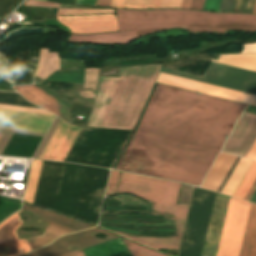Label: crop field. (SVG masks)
Returning <instances> with one entry per match:
<instances>
[{"label": "crop field", "mask_w": 256, "mask_h": 256, "mask_svg": "<svg viewBox=\"0 0 256 256\" xmlns=\"http://www.w3.org/2000/svg\"><path fill=\"white\" fill-rule=\"evenodd\" d=\"M111 0H97L96 6H109Z\"/></svg>", "instance_id": "73cf0c24"}, {"label": "crop field", "mask_w": 256, "mask_h": 256, "mask_svg": "<svg viewBox=\"0 0 256 256\" xmlns=\"http://www.w3.org/2000/svg\"><path fill=\"white\" fill-rule=\"evenodd\" d=\"M250 163V160L240 158L238 164L236 165L234 171L232 172L230 178L224 186L222 193L232 195L233 191L235 190L236 186L238 185Z\"/></svg>", "instance_id": "a9b5d70f"}, {"label": "crop field", "mask_w": 256, "mask_h": 256, "mask_svg": "<svg viewBox=\"0 0 256 256\" xmlns=\"http://www.w3.org/2000/svg\"><path fill=\"white\" fill-rule=\"evenodd\" d=\"M236 157L220 153L201 187L218 191Z\"/></svg>", "instance_id": "733c2abd"}, {"label": "crop field", "mask_w": 256, "mask_h": 256, "mask_svg": "<svg viewBox=\"0 0 256 256\" xmlns=\"http://www.w3.org/2000/svg\"><path fill=\"white\" fill-rule=\"evenodd\" d=\"M136 36L133 31L123 33H111L101 35H74L69 38L73 43H117L126 44L136 40Z\"/></svg>", "instance_id": "bc2a9ffb"}, {"label": "crop field", "mask_w": 256, "mask_h": 256, "mask_svg": "<svg viewBox=\"0 0 256 256\" xmlns=\"http://www.w3.org/2000/svg\"><path fill=\"white\" fill-rule=\"evenodd\" d=\"M192 0H183L181 9H189Z\"/></svg>", "instance_id": "89e229c0"}, {"label": "crop field", "mask_w": 256, "mask_h": 256, "mask_svg": "<svg viewBox=\"0 0 256 256\" xmlns=\"http://www.w3.org/2000/svg\"><path fill=\"white\" fill-rule=\"evenodd\" d=\"M67 10V13H65ZM113 9L108 10H84V9H59L57 15H81V14H98V13H113Z\"/></svg>", "instance_id": "d32e631a"}, {"label": "crop field", "mask_w": 256, "mask_h": 256, "mask_svg": "<svg viewBox=\"0 0 256 256\" xmlns=\"http://www.w3.org/2000/svg\"><path fill=\"white\" fill-rule=\"evenodd\" d=\"M75 4L95 6L96 0H76Z\"/></svg>", "instance_id": "5d738f31"}, {"label": "crop field", "mask_w": 256, "mask_h": 256, "mask_svg": "<svg viewBox=\"0 0 256 256\" xmlns=\"http://www.w3.org/2000/svg\"><path fill=\"white\" fill-rule=\"evenodd\" d=\"M182 0H161L159 8H180Z\"/></svg>", "instance_id": "0bd39190"}, {"label": "crop field", "mask_w": 256, "mask_h": 256, "mask_svg": "<svg viewBox=\"0 0 256 256\" xmlns=\"http://www.w3.org/2000/svg\"><path fill=\"white\" fill-rule=\"evenodd\" d=\"M246 106L158 84L115 169L200 186Z\"/></svg>", "instance_id": "8a807250"}, {"label": "crop field", "mask_w": 256, "mask_h": 256, "mask_svg": "<svg viewBox=\"0 0 256 256\" xmlns=\"http://www.w3.org/2000/svg\"><path fill=\"white\" fill-rule=\"evenodd\" d=\"M64 164L43 161L34 204L53 210Z\"/></svg>", "instance_id": "5a996713"}, {"label": "crop field", "mask_w": 256, "mask_h": 256, "mask_svg": "<svg viewBox=\"0 0 256 256\" xmlns=\"http://www.w3.org/2000/svg\"><path fill=\"white\" fill-rule=\"evenodd\" d=\"M251 105H255V106H256V97H255V99L252 101Z\"/></svg>", "instance_id": "0fb4a251"}, {"label": "crop field", "mask_w": 256, "mask_h": 256, "mask_svg": "<svg viewBox=\"0 0 256 256\" xmlns=\"http://www.w3.org/2000/svg\"><path fill=\"white\" fill-rule=\"evenodd\" d=\"M247 158H248V159H252V160H256V142H255V144L253 145L251 151L249 152Z\"/></svg>", "instance_id": "d23c7cc5"}, {"label": "crop field", "mask_w": 256, "mask_h": 256, "mask_svg": "<svg viewBox=\"0 0 256 256\" xmlns=\"http://www.w3.org/2000/svg\"><path fill=\"white\" fill-rule=\"evenodd\" d=\"M44 1H46V0H44Z\"/></svg>", "instance_id": "447ae74e"}, {"label": "crop field", "mask_w": 256, "mask_h": 256, "mask_svg": "<svg viewBox=\"0 0 256 256\" xmlns=\"http://www.w3.org/2000/svg\"><path fill=\"white\" fill-rule=\"evenodd\" d=\"M151 0H127L125 8H149Z\"/></svg>", "instance_id": "028f5c9d"}, {"label": "crop field", "mask_w": 256, "mask_h": 256, "mask_svg": "<svg viewBox=\"0 0 256 256\" xmlns=\"http://www.w3.org/2000/svg\"><path fill=\"white\" fill-rule=\"evenodd\" d=\"M0 89L14 91L12 87L0 80Z\"/></svg>", "instance_id": "25e5ab78"}, {"label": "crop field", "mask_w": 256, "mask_h": 256, "mask_svg": "<svg viewBox=\"0 0 256 256\" xmlns=\"http://www.w3.org/2000/svg\"><path fill=\"white\" fill-rule=\"evenodd\" d=\"M250 205L231 197L217 256H238Z\"/></svg>", "instance_id": "f4fd0767"}, {"label": "crop field", "mask_w": 256, "mask_h": 256, "mask_svg": "<svg viewBox=\"0 0 256 256\" xmlns=\"http://www.w3.org/2000/svg\"><path fill=\"white\" fill-rule=\"evenodd\" d=\"M159 3H160V0H152L150 8H158L159 7Z\"/></svg>", "instance_id": "1f2cbd36"}, {"label": "crop field", "mask_w": 256, "mask_h": 256, "mask_svg": "<svg viewBox=\"0 0 256 256\" xmlns=\"http://www.w3.org/2000/svg\"><path fill=\"white\" fill-rule=\"evenodd\" d=\"M255 0H234L231 12L252 13Z\"/></svg>", "instance_id": "120bbe31"}, {"label": "crop field", "mask_w": 256, "mask_h": 256, "mask_svg": "<svg viewBox=\"0 0 256 256\" xmlns=\"http://www.w3.org/2000/svg\"><path fill=\"white\" fill-rule=\"evenodd\" d=\"M239 256H256V205L252 203Z\"/></svg>", "instance_id": "92a150f3"}, {"label": "crop field", "mask_w": 256, "mask_h": 256, "mask_svg": "<svg viewBox=\"0 0 256 256\" xmlns=\"http://www.w3.org/2000/svg\"><path fill=\"white\" fill-rule=\"evenodd\" d=\"M18 92H20L28 100L54 112L61 118L68 120V109L69 107L65 106L58 100L54 99L35 85H26L14 87ZM53 113V114H54Z\"/></svg>", "instance_id": "d9b57169"}, {"label": "crop field", "mask_w": 256, "mask_h": 256, "mask_svg": "<svg viewBox=\"0 0 256 256\" xmlns=\"http://www.w3.org/2000/svg\"><path fill=\"white\" fill-rule=\"evenodd\" d=\"M246 113H243L223 152L246 158L256 140V116Z\"/></svg>", "instance_id": "d1516ede"}, {"label": "crop field", "mask_w": 256, "mask_h": 256, "mask_svg": "<svg viewBox=\"0 0 256 256\" xmlns=\"http://www.w3.org/2000/svg\"><path fill=\"white\" fill-rule=\"evenodd\" d=\"M125 3H126V0H112L110 6L114 8H124Z\"/></svg>", "instance_id": "b54c1fbb"}, {"label": "crop field", "mask_w": 256, "mask_h": 256, "mask_svg": "<svg viewBox=\"0 0 256 256\" xmlns=\"http://www.w3.org/2000/svg\"><path fill=\"white\" fill-rule=\"evenodd\" d=\"M22 210L34 213L41 219L39 220L40 222L49 224L43 235L29 238V243L33 250L52 242L55 238L61 235L93 227L90 224L71 219L25 203Z\"/></svg>", "instance_id": "dd49c442"}, {"label": "crop field", "mask_w": 256, "mask_h": 256, "mask_svg": "<svg viewBox=\"0 0 256 256\" xmlns=\"http://www.w3.org/2000/svg\"><path fill=\"white\" fill-rule=\"evenodd\" d=\"M42 161L33 160L24 200L32 203Z\"/></svg>", "instance_id": "730fd06b"}, {"label": "crop field", "mask_w": 256, "mask_h": 256, "mask_svg": "<svg viewBox=\"0 0 256 256\" xmlns=\"http://www.w3.org/2000/svg\"><path fill=\"white\" fill-rule=\"evenodd\" d=\"M253 14H256V5H255V9H254V13Z\"/></svg>", "instance_id": "1d79db26"}, {"label": "crop field", "mask_w": 256, "mask_h": 256, "mask_svg": "<svg viewBox=\"0 0 256 256\" xmlns=\"http://www.w3.org/2000/svg\"><path fill=\"white\" fill-rule=\"evenodd\" d=\"M179 186H180L179 183L167 181L162 205L149 202L151 206V214H156V215L163 214V216L166 219L174 220L178 237H170V238L141 237V236H134V235L118 232V231H113V230L111 231L116 232L125 237H128L130 239H133L142 244H145L156 250H159V249H177L178 250L188 207H189V205H175Z\"/></svg>", "instance_id": "412701ff"}, {"label": "crop field", "mask_w": 256, "mask_h": 256, "mask_svg": "<svg viewBox=\"0 0 256 256\" xmlns=\"http://www.w3.org/2000/svg\"><path fill=\"white\" fill-rule=\"evenodd\" d=\"M231 66H236L252 71H256V54L251 55H221L218 61Z\"/></svg>", "instance_id": "00972430"}, {"label": "crop field", "mask_w": 256, "mask_h": 256, "mask_svg": "<svg viewBox=\"0 0 256 256\" xmlns=\"http://www.w3.org/2000/svg\"><path fill=\"white\" fill-rule=\"evenodd\" d=\"M106 211L121 212V211H147L146 206H120V203L107 201Z\"/></svg>", "instance_id": "1d83c4d3"}, {"label": "crop field", "mask_w": 256, "mask_h": 256, "mask_svg": "<svg viewBox=\"0 0 256 256\" xmlns=\"http://www.w3.org/2000/svg\"><path fill=\"white\" fill-rule=\"evenodd\" d=\"M256 190V180L253 183L252 187L250 188L248 194L245 197V200L249 201V199L251 198L252 194L254 193V191Z\"/></svg>", "instance_id": "425ffa30"}, {"label": "crop field", "mask_w": 256, "mask_h": 256, "mask_svg": "<svg viewBox=\"0 0 256 256\" xmlns=\"http://www.w3.org/2000/svg\"><path fill=\"white\" fill-rule=\"evenodd\" d=\"M205 0H193L190 9L202 10Z\"/></svg>", "instance_id": "c21b1889"}, {"label": "crop field", "mask_w": 256, "mask_h": 256, "mask_svg": "<svg viewBox=\"0 0 256 256\" xmlns=\"http://www.w3.org/2000/svg\"><path fill=\"white\" fill-rule=\"evenodd\" d=\"M118 217H149L155 218L151 215H118ZM100 221H136L132 219H100ZM165 220H149V219H137V222H155V223H164ZM101 225H106L102 224ZM137 224H145V225H154V223H137ZM111 226V225H106ZM116 227V226H111ZM137 230H152V228H175L174 226H165V227H148V226H135ZM119 228V227H116ZM123 229V228H121ZM132 230V229H131Z\"/></svg>", "instance_id": "eef30255"}, {"label": "crop field", "mask_w": 256, "mask_h": 256, "mask_svg": "<svg viewBox=\"0 0 256 256\" xmlns=\"http://www.w3.org/2000/svg\"><path fill=\"white\" fill-rule=\"evenodd\" d=\"M162 64L120 69V78L99 77L87 127L132 130Z\"/></svg>", "instance_id": "ac0d7876"}, {"label": "crop field", "mask_w": 256, "mask_h": 256, "mask_svg": "<svg viewBox=\"0 0 256 256\" xmlns=\"http://www.w3.org/2000/svg\"><path fill=\"white\" fill-rule=\"evenodd\" d=\"M21 203L5 200L0 198V222L12 214L14 211L20 209Z\"/></svg>", "instance_id": "750c4746"}, {"label": "crop field", "mask_w": 256, "mask_h": 256, "mask_svg": "<svg viewBox=\"0 0 256 256\" xmlns=\"http://www.w3.org/2000/svg\"><path fill=\"white\" fill-rule=\"evenodd\" d=\"M165 180L148 178L122 172L118 192L139 195L149 201L162 202Z\"/></svg>", "instance_id": "3316defc"}, {"label": "crop field", "mask_w": 256, "mask_h": 256, "mask_svg": "<svg viewBox=\"0 0 256 256\" xmlns=\"http://www.w3.org/2000/svg\"><path fill=\"white\" fill-rule=\"evenodd\" d=\"M85 256H131L121 238L84 249ZM78 251L66 256H84Z\"/></svg>", "instance_id": "214f88e0"}, {"label": "crop field", "mask_w": 256, "mask_h": 256, "mask_svg": "<svg viewBox=\"0 0 256 256\" xmlns=\"http://www.w3.org/2000/svg\"><path fill=\"white\" fill-rule=\"evenodd\" d=\"M80 130L81 127L69 125L62 120L41 159L63 161Z\"/></svg>", "instance_id": "5142ce71"}, {"label": "crop field", "mask_w": 256, "mask_h": 256, "mask_svg": "<svg viewBox=\"0 0 256 256\" xmlns=\"http://www.w3.org/2000/svg\"><path fill=\"white\" fill-rule=\"evenodd\" d=\"M59 22L67 26L71 32L96 33L118 31L115 14L56 17Z\"/></svg>", "instance_id": "22f410ed"}, {"label": "crop field", "mask_w": 256, "mask_h": 256, "mask_svg": "<svg viewBox=\"0 0 256 256\" xmlns=\"http://www.w3.org/2000/svg\"><path fill=\"white\" fill-rule=\"evenodd\" d=\"M245 111L256 114V107L249 105L248 108Z\"/></svg>", "instance_id": "dbb93151"}, {"label": "crop field", "mask_w": 256, "mask_h": 256, "mask_svg": "<svg viewBox=\"0 0 256 256\" xmlns=\"http://www.w3.org/2000/svg\"><path fill=\"white\" fill-rule=\"evenodd\" d=\"M0 109H8V110H17V111H25V112H34V113H43V114H49L43 110L38 109H30V108H22V107H14V106H6V105H0ZM52 114V113H51ZM54 115V114H53Z\"/></svg>", "instance_id": "e1f06a70"}, {"label": "crop field", "mask_w": 256, "mask_h": 256, "mask_svg": "<svg viewBox=\"0 0 256 256\" xmlns=\"http://www.w3.org/2000/svg\"><path fill=\"white\" fill-rule=\"evenodd\" d=\"M41 138L38 136L13 134L2 155L31 158Z\"/></svg>", "instance_id": "4a817a6b"}, {"label": "crop field", "mask_w": 256, "mask_h": 256, "mask_svg": "<svg viewBox=\"0 0 256 256\" xmlns=\"http://www.w3.org/2000/svg\"><path fill=\"white\" fill-rule=\"evenodd\" d=\"M118 174H119L118 171L111 170L105 196L109 195V194H114L115 188H116Z\"/></svg>", "instance_id": "5866460e"}, {"label": "crop field", "mask_w": 256, "mask_h": 256, "mask_svg": "<svg viewBox=\"0 0 256 256\" xmlns=\"http://www.w3.org/2000/svg\"><path fill=\"white\" fill-rule=\"evenodd\" d=\"M25 5H33V6H47V7H57L59 8L60 4L50 3V2H43L37 0H27Z\"/></svg>", "instance_id": "c035e120"}, {"label": "crop field", "mask_w": 256, "mask_h": 256, "mask_svg": "<svg viewBox=\"0 0 256 256\" xmlns=\"http://www.w3.org/2000/svg\"><path fill=\"white\" fill-rule=\"evenodd\" d=\"M50 49L42 48L39 68L36 76L45 79L52 72L60 69L59 54L51 52Z\"/></svg>", "instance_id": "dafd665d"}, {"label": "crop field", "mask_w": 256, "mask_h": 256, "mask_svg": "<svg viewBox=\"0 0 256 256\" xmlns=\"http://www.w3.org/2000/svg\"><path fill=\"white\" fill-rule=\"evenodd\" d=\"M156 82L249 104L253 95L160 73Z\"/></svg>", "instance_id": "28ad6ade"}, {"label": "crop field", "mask_w": 256, "mask_h": 256, "mask_svg": "<svg viewBox=\"0 0 256 256\" xmlns=\"http://www.w3.org/2000/svg\"><path fill=\"white\" fill-rule=\"evenodd\" d=\"M86 168L83 165L65 164L55 211L75 217Z\"/></svg>", "instance_id": "d8731c3e"}, {"label": "crop field", "mask_w": 256, "mask_h": 256, "mask_svg": "<svg viewBox=\"0 0 256 256\" xmlns=\"http://www.w3.org/2000/svg\"><path fill=\"white\" fill-rule=\"evenodd\" d=\"M132 256H166L122 239Z\"/></svg>", "instance_id": "d3111659"}, {"label": "crop field", "mask_w": 256, "mask_h": 256, "mask_svg": "<svg viewBox=\"0 0 256 256\" xmlns=\"http://www.w3.org/2000/svg\"><path fill=\"white\" fill-rule=\"evenodd\" d=\"M256 52V43L244 44V50L240 53Z\"/></svg>", "instance_id": "03da06ac"}, {"label": "crop field", "mask_w": 256, "mask_h": 256, "mask_svg": "<svg viewBox=\"0 0 256 256\" xmlns=\"http://www.w3.org/2000/svg\"><path fill=\"white\" fill-rule=\"evenodd\" d=\"M219 4L220 0H206L203 10L217 12Z\"/></svg>", "instance_id": "b80d0937"}, {"label": "crop field", "mask_w": 256, "mask_h": 256, "mask_svg": "<svg viewBox=\"0 0 256 256\" xmlns=\"http://www.w3.org/2000/svg\"><path fill=\"white\" fill-rule=\"evenodd\" d=\"M3 133H0V138L2 137Z\"/></svg>", "instance_id": "9d1cf04e"}, {"label": "crop field", "mask_w": 256, "mask_h": 256, "mask_svg": "<svg viewBox=\"0 0 256 256\" xmlns=\"http://www.w3.org/2000/svg\"><path fill=\"white\" fill-rule=\"evenodd\" d=\"M120 31L135 30L137 38L168 29L186 28L192 33L229 29L256 31V15L198 12L192 10H117Z\"/></svg>", "instance_id": "34b2d1b8"}, {"label": "crop field", "mask_w": 256, "mask_h": 256, "mask_svg": "<svg viewBox=\"0 0 256 256\" xmlns=\"http://www.w3.org/2000/svg\"><path fill=\"white\" fill-rule=\"evenodd\" d=\"M103 232L108 237L104 240L94 237L93 235ZM119 238L108 233L98 227L81 231L75 234L61 236L52 244L28 253L25 256H62L71 252H75L90 246H94L109 240Z\"/></svg>", "instance_id": "e52e79f7"}, {"label": "crop field", "mask_w": 256, "mask_h": 256, "mask_svg": "<svg viewBox=\"0 0 256 256\" xmlns=\"http://www.w3.org/2000/svg\"><path fill=\"white\" fill-rule=\"evenodd\" d=\"M255 178L256 162L252 161L251 165L249 166L248 170L246 171L245 175L237 186L235 192L233 193V196L244 199Z\"/></svg>", "instance_id": "4177f3b9"}, {"label": "crop field", "mask_w": 256, "mask_h": 256, "mask_svg": "<svg viewBox=\"0 0 256 256\" xmlns=\"http://www.w3.org/2000/svg\"><path fill=\"white\" fill-rule=\"evenodd\" d=\"M18 211L0 224V256H19L31 251L27 239H19L16 230L23 221Z\"/></svg>", "instance_id": "cbeb9de0"}, {"label": "crop field", "mask_w": 256, "mask_h": 256, "mask_svg": "<svg viewBox=\"0 0 256 256\" xmlns=\"http://www.w3.org/2000/svg\"><path fill=\"white\" fill-rule=\"evenodd\" d=\"M35 71H36V65L26 63L17 84L16 83L15 84L16 85L32 84Z\"/></svg>", "instance_id": "bd1437ed"}, {"label": "crop field", "mask_w": 256, "mask_h": 256, "mask_svg": "<svg viewBox=\"0 0 256 256\" xmlns=\"http://www.w3.org/2000/svg\"><path fill=\"white\" fill-rule=\"evenodd\" d=\"M0 104L38 108L30 103H28L24 98H22L17 93L3 92L0 91ZM40 109V108H38Z\"/></svg>", "instance_id": "ae1a2a85"}]
</instances>
